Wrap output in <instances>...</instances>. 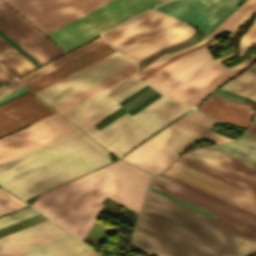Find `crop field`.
Wrapping results in <instances>:
<instances>
[{"mask_svg": "<svg viewBox=\"0 0 256 256\" xmlns=\"http://www.w3.org/2000/svg\"><path fill=\"white\" fill-rule=\"evenodd\" d=\"M135 74L136 63L117 52L35 94L119 157L192 108L162 96L94 131L91 125L145 85Z\"/></svg>", "mask_w": 256, "mask_h": 256, "instance_id": "obj_1", "label": "crop field"}, {"mask_svg": "<svg viewBox=\"0 0 256 256\" xmlns=\"http://www.w3.org/2000/svg\"><path fill=\"white\" fill-rule=\"evenodd\" d=\"M131 245L152 256H244L256 241L146 195Z\"/></svg>", "mask_w": 256, "mask_h": 256, "instance_id": "obj_2", "label": "crop field"}, {"mask_svg": "<svg viewBox=\"0 0 256 256\" xmlns=\"http://www.w3.org/2000/svg\"><path fill=\"white\" fill-rule=\"evenodd\" d=\"M153 178L118 160L39 196L31 206L83 239L105 197L138 213Z\"/></svg>", "mask_w": 256, "mask_h": 256, "instance_id": "obj_3", "label": "crop field"}, {"mask_svg": "<svg viewBox=\"0 0 256 256\" xmlns=\"http://www.w3.org/2000/svg\"><path fill=\"white\" fill-rule=\"evenodd\" d=\"M109 162L107 150L78 130L0 165V185L26 200Z\"/></svg>", "mask_w": 256, "mask_h": 256, "instance_id": "obj_4", "label": "crop field"}, {"mask_svg": "<svg viewBox=\"0 0 256 256\" xmlns=\"http://www.w3.org/2000/svg\"><path fill=\"white\" fill-rule=\"evenodd\" d=\"M163 173L256 214V168L209 147L182 155Z\"/></svg>", "mask_w": 256, "mask_h": 256, "instance_id": "obj_5", "label": "crop field"}, {"mask_svg": "<svg viewBox=\"0 0 256 256\" xmlns=\"http://www.w3.org/2000/svg\"><path fill=\"white\" fill-rule=\"evenodd\" d=\"M167 0H113L47 34L67 51Z\"/></svg>", "mask_w": 256, "mask_h": 256, "instance_id": "obj_6", "label": "crop field"}, {"mask_svg": "<svg viewBox=\"0 0 256 256\" xmlns=\"http://www.w3.org/2000/svg\"><path fill=\"white\" fill-rule=\"evenodd\" d=\"M44 34L111 0H4Z\"/></svg>", "mask_w": 256, "mask_h": 256, "instance_id": "obj_7", "label": "crop field"}, {"mask_svg": "<svg viewBox=\"0 0 256 256\" xmlns=\"http://www.w3.org/2000/svg\"><path fill=\"white\" fill-rule=\"evenodd\" d=\"M78 130L58 113L0 139V164Z\"/></svg>", "mask_w": 256, "mask_h": 256, "instance_id": "obj_8", "label": "crop field"}, {"mask_svg": "<svg viewBox=\"0 0 256 256\" xmlns=\"http://www.w3.org/2000/svg\"><path fill=\"white\" fill-rule=\"evenodd\" d=\"M154 10L151 9L102 36L111 46L124 53L159 38L184 23ZM170 20L172 21L169 22ZM160 26L162 27L159 28Z\"/></svg>", "mask_w": 256, "mask_h": 256, "instance_id": "obj_9", "label": "crop field"}, {"mask_svg": "<svg viewBox=\"0 0 256 256\" xmlns=\"http://www.w3.org/2000/svg\"><path fill=\"white\" fill-rule=\"evenodd\" d=\"M0 30L41 64L63 54L61 50L1 0Z\"/></svg>", "mask_w": 256, "mask_h": 256, "instance_id": "obj_10", "label": "crop field"}, {"mask_svg": "<svg viewBox=\"0 0 256 256\" xmlns=\"http://www.w3.org/2000/svg\"><path fill=\"white\" fill-rule=\"evenodd\" d=\"M232 77L234 75L217 60L163 94L194 107Z\"/></svg>", "mask_w": 256, "mask_h": 256, "instance_id": "obj_11", "label": "crop field"}, {"mask_svg": "<svg viewBox=\"0 0 256 256\" xmlns=\"http://www.w3.org/2000/svg\"><path fill=\"white\" fill-rule=\"evenodd\" d=\"M223 2L224 0H172L155 8L195 25L206 33L235 7L238 0H232L223 13L210 23L227 6L230 0H227L225 5L211 18Z\"/></svg>", "mask_w": 256, "mask_h": 256, "instance_id": "obj_12", "label": "crop field"}, {"mask_svg": "<svg viewBox=\"0 0 256 256\" xmlns=\"http://www.w3.org/2000/svg\"><path fill=\"white\" fill-rule=\"evenodd\" d=\"M56 113L39 98L32 97L0 112V137Z\"/></svg>", "mask_w": 256, "mask_h": 256, "instance_id": "obj_13", "label": "crop field"}, {"mask_svg": "<svg viewBox=\"0 0 256 256\" xmlns=\"http://www.w3.org/2000/svg\"><path fill=\"white\" fill-rule=\"evenodd\" d=\"M82 243L65 233L8 256H78L91 251Z\"/></svg>", "mask_w": 256, "mask_h": 256, "instance_id": "obj_14", "label": "crop field"}, {"mask_svg": "<svg viewBox=\"0 0 256 256\" xmlns=\"http://www.w3.org/2000/svg\"><path fill=\"white\" fill-rule=\"evenodd\" d=\"M176 157L177 155L147 141L121 159L157 175Z\"/></svg>", "mask_w": 256, "mask_h": 256, "instance_id": "obj_15", "label": "crop field"}, {"mask_svg": "<svg viewBox=\"0 0 256 256\" xmlns=\"http://www.w3.org/2000/svg\"><path fill=\"white\" fill-rule=\"evenodd\" d=\"M217 42L218 41L213 40L209 45H207L191 54H188L178 60H175L174 62H172L171 64H169L168 66H166L165 68H163L162 70H160L159 72H157L156 74L149 77L148 79H146L143 82H145L155 88V87L163 84L164 82L178 76L179 74H181L182 72H184L185 70H187L188 68L193 66L194 64L209 57L210 54L208 53V51L206 49L213 46Z\"/></svg>", "mask_w": 256, "mask_h": 256, "instance_id": "obj_16", "label": "crop field"}, {"mask_svg": "<svg viewBox=\"0 0 256 256\" xmlns=\"http://www.w3.org/2000/svg\"><path fill=\"white\" fill-rule=\"evenodd\" d=\"M202 139L203 138L172 124L149 141L179 155L190 145Z\"/></svg>", "mask_w": 256, "mask_h": 256, "instance_id": "obj_17", "label": "crop field"}, {"mask_svg": "<svg viewBox=\"0 0 256 256\" xmlns=\"http://www.w3.org/2000/svg\"><path fill=\"white\" fill-rule=\"evenodd\" d=\"M187 25L185 23L178 29L174 30L173 32H171L159 39H156L148 44L141 45L123 55L138 62L141 59H143L144 57L148 56L152 52H154L162 47L182 41V40L186 39L187 37L191 36L196 30H194L193 28H191Z\"/></svg>", "mask_w": 256, "mask_h": 256, "instance_id": "obj_18", "label": "crop field"}, {"mask_svg": "<svg viewBox=\"0 0 256 256\" xmlns=\"http://www.w3.org/2000/svg\"><path fill=\"white\" fill-rule=\"evenodd\" d=\"M211 148L256 167V136L247 132L239 140Z\"/></svg>", "mask_w": 256, "mask_h": 256, "instance_id": "obj_19", "label": "crop field"}, {"mask_svg": "<svg viewBox=\"0 0 256 256\" xmlns=\"http://www.w3.org/2000/svg\"><path fill=\"white\" fill-rule=\"evenodd\" d=\"M0 65L14 77H18L34 68L29 61L0 38Z\"/></svg>", "mask_w": 256, "mask_h": 256, "instance_id": "obj_20", "label": "crop field"}, {"mask_svg": "<svg viewBox=\"0 0 256 256\" xmlns=\"http://www.w3.org/2000/svg\"><path fill=\"white\" fill-rule=\"evenodd\" d=\"M105 43L107 42L101 37L18 80L25 85Z\"/></svg>", "mask_w": 256, "mask_h": 256, "instance_id": "obj_21", "label": "crop field"}, {"mask_svg": "<svg viewBox=\"0 0 256 256\" xmlns=\"http://www.w3.org/2000/svg\"><path fill=\"white\" fill-rule=\"evenodd\" d=\"M254 7H256V0H247L231 16H229L210 36L215 39L224 30L231 34L228 40L229 43L233 35L236 33L237 29L256 13V8ZM247 13L249 14L242 19V17L245 16ZM227 44H225V47L227 46Z\"/></svg>", "mask_w": 256, "mask_h": 256, "instance_id": "obj_22", "label": "crop field"}, {"mask_svg": "<svg viewBox=\"0 0 256 256\" xmlns=\"http://www.w3.org/2000/svg\"><path fill=\"white\" fill-rule=\"evenodd\" d=\"M151 187H153V188H155V189H157L159 191H162V192H164L166 194H169V195H171V196H173L175 198H178V199H180L182 201H185V202H187V203H189L191 205H194V206H196V207H198L200 209H203V210H205L207 212H210V213H212V214H214L216 216H219V217H221L223 219H226V220H228V221H230L232 223H235V224H237V225H239L241 227H244V228H246L248 230H251V231L256 233V227L255 226H253L251 224H248V223H246V222H244L242 220H239V219H237V218H235V217H233L231 215H228V214H226V213H224L222 211H219V210H217V209H215L213 207H210V206H208V205H206L204 203H201V202H199V201H197V200H195L193 198H190V197H188V196H186L184 194H181V193H179V192H177L175 190H172V189H170V188H168L166 186H163V185H161V184H159L157 182L153 181Z\"/></svg>", "mask_w": 256, "mask_h": 256, "instance_id": "obj_23", "label": "crop field"}, {"mask_svg": "<svg viewBox=\"0 0 256 256\" xmlns=\"http://www.w3.org/2000/svg\"><path fill=\"white\" fill-rule=\"evenodd\" d=\"M222 89L256 100V72L246 70Z\"/></svg>", "mask_w": 256, "mask_h": 256, "instance_id": "obj_24", "label": "crop field"}, {"mask_svg": "<svg viewBox=\"0 0 256 256\" xmlns=\"http://www.w3.org/2000/svg\"><path fill=\"white\" fill-rule=\"evenodd\" d=\"M155 181H157V182H159V183H161V184H164V185H166V186H168V187H170V188H172V189H175V190H177V191H179V192H181V193H184V194H186V195H188V196H190V197H193V198H195V199H197V200H199V201H201V202H204V203H206V204H208V205H210V206H213V207H215V208H217V209H219V210H222V211H224V212H226V213H228V214H231V215H233V216H235V217H237V218H239V219H242V220H244V221H246V222H248V223H251V224H253V225H255L256 226V220H254V219H252V218H250V217H247V216H245V215H243V214H240V213H238V212H236V211H234V210H231V209H229V208H227V207H225V206H222V205H220V204H218V203H215V202H213V201H211V200H209V199H206V198H204V197H202V196H200V195H197V194H195V193H193V192H190V191H188V190H186V189H184V188H181V187H179V186H177V185H175V184H172V183H170V182H168V181H165V180H163V179H161V178H159V177H157L156 179H155ZM154 181V182H155ZM163 185V186H164Z\"/></svg>", "mask_w": 256, "mask_h": 256, "instance_id": "obj_25", "label": "crop field"}, {"mask_svg": "<svg viewBox=\"0 0 256 256\" xmlns=\"http://www.w3.org/2000/svg\"><path fill=\"white\" fill-rule=\"evenodd\" d=\"M149 86H144L143 88H141L140 90H138V91H136L135 93H133L132 95H130L129 97H127L126 99H124V100H122L121 102H119L120 103V105L122 106L123 104H125V103H127V102H129L130 100H132L134 97H136L138 94H140L142 91H144L146 88H148ZM158 94V93H157ZM156 94V95H157ZM155 96V95H154ZM161 95L159 94V95H157V96H155L154 98H152V99H148L149 101H147L146 103H142L143 105H141V106H137L135 109L136 110H132L133 112H131V113H129L131 116L132 115H134L135 113H137L138 111H140L141 109H143L144 107H146L148 104H150L151 102H153L154 100H156L157 98H159ZM123 109L120 107V108H118L117 110H115L114 112H112L111 114H109L108 116H106L105 118H103L102 120H100L99 122H97L96 124H94L93 126H91L93 129L95 128V127H97L98 125H100V124H102L104 121H106L107 119H109V118H111L112 116H114V115H116L117 113H119L120 111H122ZM124 113H126L124 110L122 111V112H120L119 114H117L116 116H114V117H112L110 120H108V121H106V122H104L101 126H99V127H97V128H95V130H100L101 128H103L104 126H106L107 124H109L110 122H112V121H114L115 119H117L118 117H120L121 115H123Z\"/></svg>", "mask_w": 256, "mask_h": 256, "instance_id": "obj_26", "label": "crop field"}, {"mask_svg": "<svg viewBox=\"0 0 256 256\" xmlns=\"http://www.w3.org/2000/svg\"><path fill=\"white\" fill-rule=\"evenodd\" d=\"M174 124L184 128V129H187L197 135H200L215 144L226 142V141H231L228 138L221 137V136H218V135H215V134L209 132L208 129H206V128H204V127H202L184 117L177 120Z\"/></svg>", "mask_w": 256, "mask_h": 256, "instance_id": "obj_27", "label": "crop field"}, {"mask_svg": "<svg viewBox=\"0 0 256 256\" xmlns=\"http://www.w3.org/2000/svg\"><path fill=\"white\" fill-rule=\"evenodd\" d=\"M59 230H61V229L58 226H56L55 224H53L51 226H48L46 228H43V229L33 232L31 234L25 235L23 237H20L18 239H15L13 241H10L8 243L0 245V253L4 252L6 250L12 249L14 247L20 246L22 244H25L27 242L33 241L40 237L46 236L53 232L59 231Z\"/></svg>", "mask_w": 256, "mask_h": 256, "instance_id": "obj_28", "label": "crop field"}, {"mask_svg": "<svg viewBox=\"0 0 256 256\" xmlns=\"http://www.w3.org/2000/svg\"><path fill=\"white\" fill-rule=\"evenodd\" d=\"M212 62H214V59L211 57L205 59L204 61L198 63L197 65L191 67L190 69H188L187 71H185L184 73H182L181 75H179L178 77L172 79L171 81L155 88L157 89L159 92H164L167 89L173 87L174 85L178 84L179 82L185 80L186 78L196 74L197 72H199L200 70H202L203 68H205L206 66H208L209 64H211Z\"/></svg>", "mask_w": 256, "mask_h": 256, "instance_id": "obj_29", "label": "crop field"}, {"mask_svg": "<svg viewBox=\"0 0 256 256\" xmlns=\"http://www.w3.org/2000/svg\"><path fill=\"white\" fill-rule=\"evenodd\" d=\"M148 193L151 194V195H153V196H156V197H158V198H160V199H162V200H165V201H167V202H169V203H172V204H174V205H176V206H179V207H181V208H183V209H185V210H188V211H190V212H192V213H195V214H197V215H199V216H201V217H204V218H206V219H208V220H211V221H213V222H215V223H218V224H220V225H222V226H224V227H227V228H229V229H231V230H234V231H236V232H238V233H241V234H243V235H245V236H247V237H250V238L256 240V234H253V233H251V232H249V231H247V230H244V229H242V228H240V227H238V226H235V225H233V224H231V223H229V222H227V221H224V220H222V219H220V218H218V217H216L214 220H212V219H210V218H208V217H206V216H203V215H201V214H199V213H197V212H194V211H192V210H190V209H188V208H185V207H183V206H181V205H179V204H177V203H174V202H172V201H170V200H168V199H165V198H163V197H161V196H159V195H156V194H154V193H152V192H150V191H149Z\"/></svg>", "mask_w": 256, "mask_h": 256, "instance_id": "obj_30", "label": "crop field"}, {"mask_svg": "<svg viewBox=\"0 0 256 256\" xmlns=\"http://www.w3.org/2000/svg\"><path fill=\"white\" fill-rule=\"evenodd\" d=\"M159 177H162V178L167 179V180H169V179L171 178V177H169V176H167V175H165V174H163V173H161V174L159 175ZM170 181H172V182H174V183H176V184H179V185H181V186H183V187H185V188H188V189H190V190H192V191H194V192H196V193H199V194H201V195H203V196H205V197H208V198H210V199H212V200H214V201H217V202H219V203H221V204H223V205H226V206H228V207H230V208H232V209H234V210H237V211H239V212H241V213H243V214H246V215H248V216H250V217L256 219V215H254V214H252V213H250V212H248V211H245V210H243V209H241V208H239V207H236V206H234V205H232V204H230V203H227V202H225V201H223V200H221V199H219V198H216V197H214V196H212V195H210V194H207V193H205V192H203V191H201V190H198V189H196V188H194V187H192V186H189V185H187V184H185V183H183V182H181V181H178V180H176V179H174V178H171Z\"/></svg>", "mask_w": 256, "mask_h": 256, "instance_id": "obj_31", "label": "crop field"}, {"mask_svg": "<svg viewBox=\"0 0 256 256\" xmlns=\"http://www.w3.org/2000/svg\"><path fill=\"white\" fill-rule=\"evenodd\" d=\"M25 207L5 191L0 190V216Z\"/></svg>", "mask_w": 256, "mask_h": 256, "instance_id": "obj_32", "label": "crop field"}, {"mask_svg": "<svg viewBox=\"0 0 256 256\" xmlns=\"http://www.w3.org/2000/svg\"><path fill=\"white\" fill-rule=\"evenodd\" d=\"M184 117L208 128L211 129L212 127H214L215 125L222 123L196 109H194L193 111H191L190 113L186 114Z\"/></svg>", "mask_w": 256, "mask_h": 256, "instance_id": "obj_33", "label": "crop field"}, {"mask_svg": "<svg viewBox=\"0 0 256 256\" xmlns=\"http://www.w3.org/2000/svg\"><path fill=\"white\" fill-rule=\"evenodd\" d=\"M36 214L38 213L30 207L23 209L21 211L15 212L13 214L0 218V228L8 226L10 224H13L15 222H18L20 220H23L25 218L31 217Z\"/></svg>", "mask_w": 256, "mask_h": 256, "instance_id": "obj_34", "label": "crop field"}, {"mask_svg": "<svg viewBox=\"0 0 256 256\" xmlns=\"http://www.w3.org/2000/svg\"><path fill=\"white\" fill-rule=\"evenodd\" d=\"M209 38H210V37L207 36L203 41H201V42H199V43H197V44H195V45H193V46H191V47L185 48V49L180 50V51L173 52V53L169 54V56L164 55V56L158 58L157 60H155L154 62H152L150 65H148L147 67H145L144 69H142L140 72H138L137 78H138V79L141 78L143 75H145V74L148 73L150 70H152V69L155 68L156 66L160 65L161 63H163V62L166 61L167 59H169V58H171V57H173V56H176V55H178V54H180V53H183V52H185V51H187V50H189V49H193V48L197 47L198 45H200L201 43L205 42V41H206L207 39H209ZM207 41H208V40H207ZM201 45H202V44H201ZM165 56H167V57H165ZM163 57H165V58H163ZM161 58H163V59H161ZM160 59H161V60H160Z\"/></svg>", "mask_w": 256, "mask_h": 256, "instance_id": "obj_35", "label": "crop field"}, {"mask_svg": "<svg viewBox=\"0 0 256 256\" xmlns=\"http://www.w3.org/2000/svg\"><path fill=\"white\" fill-rule=\"evenodd\" d=\"M252 41L256 42V20L240 40V44H239L240 57L245 53L247 47Z\"/></svg>", "mask_w": 256, "mask_h": 256, "instance_id": "obj_36", "label": "crop field"}, {"mask_svg": "<svg viewBox=\"0 0 256 256\" xmlns=\"http://www.w3.org/2000/svg\"><path fill=\"white\" fill-rule=\"evenodd\" d=\"M51 224H53V223L51 221L47 220L45 222L39 223V224L34 225L32 227H29L27 229H24V230H21L19 232L14 233V234L8 235V236L3 237V238L0 239V244H3L5 242H8V241L13 240L15 238H18V237L23 236L25 234L31 233L33 231H36L38 229H41V228L46 227V226L51 225Z\"/></svg>", "mask_w": 256, "mask_h": 256, "instance_id": "obj_37", "label": "crop field"}, {"mask_svg": "<svg viewBox=\"0 0 256 256\" xmlns=\"http://www.w3.org/2000/svg\"><path fill=\"white\" fill-rule=\"evenodd\" d=\"M63 233H65V232H64L63 230H61V231H59V232L53 233V234L48 235V236H46V237H43V238H40V239L35 240V241H33V242L27 243V244H25V245H22V246H20V247L14 248V249L9 250V251H7V252L1 253L0 256L8 255V254H10V253H13V252H16V251H18V250L24 249V248H26V247H29V246L34 245V244H37V243H39V242H42V241H44V240L50 239V238H52V237H55V236L60 235V234H63Z\"/></svg>", "mask_w": 256, "mask_h": 256, "instance_id": "obj_38", "label": "crop field"}, {"mask_svg": "<svg viewBox=\"0 0 256 256\" xmlns=\"http://www.w3.org/2000/svg\"><path fill=\"white\" fill-rule=\"evenodd\" d=\"M149 190L152 191V192H154V193H156V194H159V195H161V196H163V197H165V198H168V199H170V200H172V201H174V202H177V203H179V204H181V205H183V206H185V207H188V208H190V209H192V210H194V211H197V212H199V213H201V214H203V215H206V216H208V217H210V218H212V219L215 218V216H213V215H211V214H209V213H206V212H204V211H202V210H200V209H197V208H195V207H193V206H191V205H188V204H186V203H184V202H182V201H180V200H177V199H175V198H173V197H171V196H168V195H166V194H164V193H162V192H159V191H157V190H155V189H153V188H150Z\"/></svg>", "mask_w": 256, "mask_h": 256, "instance_id": "obj_39", "label": "crop field"}, {"mask_svg": "<svg viewBox=\"0 0 256 256\" xmlns=\"http://www.w3.org/2000/svg\"><path fill=\"white\" fill-rule=\"evenodd\" d=\"M255 60H256V56L254 55V53H252L245 62H243L235 67L230 68V70L233 71L237 75L238 73H240L242 70H244L247 66H249Z\"/></svg>", "mask_w": 256, "mask_h": 256, "instance_id": "obj_40", "label": "crop field"}, {"mask_svg": "<svg viewBox=\"0 0 256 256\" xmlns=\"http://www.w3.org/2000/svg\"><path fill=\"white\" fill-rule=\"evenodd\" d=\"M32 96H34V94H32L31 92H29V93H27V94H25V95H23V96H20V97L14 99V100H12V101H9V102H7V103H5V104H3V105H0V111H1V110H4V109H6V108H8V107H10V106H12V105H15V104H17V103H19V102H21V101H23V100H26V99H28V98H30V97H32ZM34 97H35V96H34Z\"/></svg>", "mask_w": 256, "mask_h": 256, "instance_id": "obj_41", "label": "crop field"}, {"mask_svg": "<svg viewBox=\"0 0 256 256\" xmlns=\"http://www.w3.org/2000/svg\"><path fill=\"white\" fill-rule=\"evenodd\" d=\"M25 88L23 86H21V87L15 89V90H12V91H10L8 93H5V94L1 95L0 96V102L5 101V100H7V99H9L11 97H14V96H16L18 94H21V93L27 91V89H25Z\"/></svg>", "mask_w": 256, "mask_h": 256, "instance_id": "obj_42", "label": "crop field"}, {"mask_svg": "<svg viewBox=\"0 0 256 256\" xmlns=\"http://www.w3.org/2000/svg\"><path fill=\"white\" fill-rule=\"evenodd\" d=\"M210 98H214V99H218V100H221V101L229 102V103L236 104V105L246 107V108H249V109L251 108V106H248L246 104H242L237 100L229 99V98L219 96V95H216V94H213Z\"/></svg>", "mask_w": 256, "mask_h": 256, "instance_id": "obj_43", "label": "crop field"}, {"mask_svg": "<svg viewBox=\"0 0 256 256\" xmlns=\"http://www.w3.org/2000/svg\"><path fill=\"white\" fill-rule=\"evenodd\" d=\"M19 86H21V84L17 80H15V81H13V82H11V83L1 87L0 88V95L5 93V92H8V91H10L12 89H15V88H17Z\"/></svg>", "mask_w": 256, "mask_h": 256, "instance_id": "obj_44", "label": "crop field"}, {"mask_svg": "<svg viewBox=\"0 0 256 256\" xmlns=\"http://www.w3.org/2000/svg\"><path fill=\"white\" fill-rule=\"evenodd\" d=\"M14 78L11 76L7 71H5L1 66H0V83L3 84L9 80Z\"/></svg>", "mask_w": 256, "mask_h": 256, "instance_id": "obj_45", "label": "crop field"}, {"mask_svg": "<svg viewBox=\"0 0 256 256\" xmlns=\"http://www.w3.org/2000/svg\"><path fill=\"white\" fill-rule=\"evenodd\" d=\"M247 132H249L253 135H256V115H255V118H254L251 126L248 128Z\"/></svg>", "mask_w": 256, "mask_h": 256, "instance_id": "obj_46", "label": "crop field"}, {"mask_svg": "<svg viewBox=\"0 0 256 256\" xmlns=\"http://www.w3.org/2000/svg\"><path fill=\"white\" fill-rule=\"evenodd\" d=\"M81 256H99V255H97L95 252L91 251V252L86 253V254L81 255Z\"/></svg>", "mask_w": 256, "mask_h": 256, "instance_id": "obj_47", "label": "crop field"}]
</instances>
